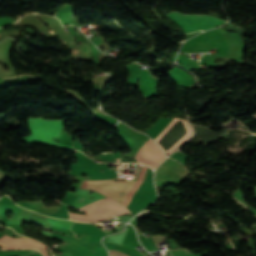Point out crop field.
Returning a JSON list of instances; mask_svg holds the SVG:
<instances>
[{
  "mask_svg": "<svg viewBox=\"0 0 256 256\" xmlns=\"http://www.w3.org/2000/svg\"><path fill=\"white\" fill-rule=\"evenodd\" d=\"M89 192H91V191L77 189L76 193L80 194L79 197L77 198L78 194L71 193V192L67 191V193H66L67 197L62 200V203L71 205L72 202L77 198L72 206H75L79 209V208H81V207H83V206H85L89 203H92V202H94L98 199L102 200V199L105 198V196H103L99 193H96V192H94L91 195H87ZM92 196L94 197L93 200H89L88 198L92 197ZM123 213H130V211L126 207L123 206V207L115 208V209H112L110 211L100 213V214H96V215L82 216V215L70 213V218L73 219V220H77V221L94 222V221H101V220L109 218V217H116V216L121 215Z\"/></svg>",
  "mask_w": 256,
  "mask_h": 256,
  "instance_id": "obj_2",
  "label": "crop field"
},
{
  "mask_svg": "<svg viewBox=\"0 0 256 256\" xmlns=\"http://www.w3.org/2000/svg\"><path fill=\"white\" fill-rule=\"evenodd\" d=\"M169 18L180 25L187 33L195 32L200 29L206 30L222 24L221 19L213 18L208 15L194 16L182 15L176 12L168 14Z\"/></svg>",
  "mask_w": 256,
  "mask_h": 256,
  "instance_id": "obj_4",
  "label": "crop field"
},
{
  "mask_svg": "<svg viewBox=\"0 0 256 256\" xmlns=\"http://www.w3.org/2000/svg\"><path fill=\"white\" fill-rule=\"evenodd\" d=\"M29 128L31 135L20 140L27 143L41 142L49 145L72 149L70 145L59 144L52 141L53 137H58L64 120H43L41 118H29Z\"/></svg>",
  "mask_w": 256,
  "mask_h": 256,
  "instance_id": "obj_3",
  "label": "crop field"
},
{
  "mask_svg": "<svg viewBox=\"0 0 256 256\" xmlns=\"http://www.w3.org/2000/svg\"><path fill=\"white\" fill-rule=\"evenodd\" d=\"M119 159H116L115 163H118Z\"/></svg>",
  "mask_w": 256,
  "mask_h": 256,
  "instance_id": "obj_11",
  "label": "crop field"
},
{
  "mask_svg": "<svg viewBox=\"0 0 256 256\" xmlns=\"http://www.w3.org/2000/svg\"><path fill=\"white\" fill-rule=\"evenodd\" d=\"M146 170H147V167L145 166L141 167L136 183L135 181H131V180L127 181L124 178L118 179V182H113L114 179L105 180V181H85L84 180L80 188L100 192L103 195L113 198L120 203L121 200L129 191V189L135 183L121 202V204L125 206L126 203L129 201V199L132 197V195L135 193V191L143 182Z\"/></svg>",
  "mask_w": 256,
  "mask_h": 256,
  "instance_id": "obj_1",
  "label": "crop field"
},
{
  "mask_svg": "<svg viewBox=\"0 0 256 256\" xmlns=\"http://www.w3.org/2000/svg\"><path fill=\"white\" fill-rule=\"evenodd\" d=\"M47 220L56 227L64 228V229H69L71 225L74 223L73 221H67V220H62V219H54V218H48Z\"/></svg>",
  "mask_w": 256,
  "mask_h": 256,
  "instance_id": "obj_6",
  "label": "crop field"
},
{
  "mask_svg": "<svg viewBox=\"0 0 256 256\" xmlns=\"http://www.w3.org/2000/svg\"><path fill=\"white\" fill-rule=\"evenodd\" d=\"M35 230V229H34ZM37 231V230H36ZM39 232V231H38ZM41 233H45L47 235H50V236H54V237H58V238H62V239H74V238H71V237H66V236H61L57 233H48L47 231H40Z\"/></svg>",
  "mask_w": 256,
  "mask_h": 256,
  "instance_id": "obj_8",
  "label": "crop field"
},
{
  "mask_svg": "<svg viewBox=\"0 0 256 256\" xmlns=\"http://www.w3.org/2000/svg\"><path fill=\"white\" fill-rule=\"evenodd\" d=\"M57 249L64 252H62V256H106V251L103 248L93 249L94 252H91L92 249L75 242L59 246Z\"/></svg>",
  "mask_w": 256,
  "mask_h": 256,
  "instance_id": "obj_5",
  "label": "crop field"
},
{
  "mask_svg": "<svg viewBox=\"0 0 256 256\" xmlns=\"http://www.w3.org/2000/svg\"><path fill=\"white\" fill-rule=\"evenodd\" d=\"M110 251V256H128L118 250H109Z\"/></svg>",
  "mask_w": 256,
  "mask_h": 256,
  "instance_id": "obj_9",
  "label": "crop field"
},
{
  "mask_svg": "<svg viewBox=\"0 0 256 256\" xmlns=\"http://www.w3.org/2000/svg\"><path fill=\"white\" fill-rule=\"evenodd\" d=\"M5 223L16 224V225H21V224H22V222H19V221H11V220L6 221Z\"/></svg>",
  "mask_w": 256,
  "mask_h": 256,
  "instance_id": "obj_10",
  "label": "crop field"
},
{
  "mask_svg": "<svg viewBox=\"0 0 256 256\" xmlns=\"http://www.w3.org/2000/svg\"><path fill=\"white\" fill-rule=\"evenodd\" d=\"M67 207L68 206L62 204V207H61V209L59 211L53 213L52 215L47 214V213L45 215H49V216H52V217L67 218V219H69V213H68Z\"/></svg>",
  "mask_w": 256,
  "mask_h": 256,
  "instance_id": "obj_7",
  "label": "crop field"
}]
</instances>
